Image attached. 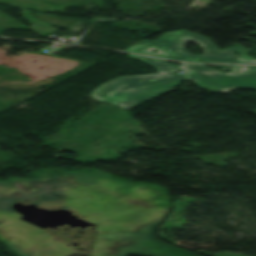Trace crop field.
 <instances>
[{
    "label": "crop field",
    "mask_w": 256,
    "mask_h": 256,
    "mask_svg": "<svg viewBox=\"0 0 256 256\" xmlns=\"http://www.w3.org/2000/svg\"><path fill=\"white\" fill-rule=\"evenodd\" d=\"M129 57L138 58L152 65L158 72L114 78L93 90L90 93L93 98L129 109L173 89L185 79L174 72L179 67L165 63L166 60L132 54H129Z\"/></svg>",
    "instance_id": "obj_1"
},
{
    "label": "crop field",
    "mask_w": 256,
    "mask_h": 256,
    "mask_svg": "<svg viewBox=\"0 0 256 256\" xmlns=\"http://www.w3.org/2000/svg\"><path fill=\"white\" fill-rule=\"evenodd\" d=\"M188 41L199 44L203 50L202 55L188 53L184 48ZM152 49L158 50L156 54L151 52ZM233 50H237L240 56H235L232 52ZM246 50L248 51L245 52V49L240 47H229L218 51V47L213 45L210 39L189 31L165 33L156 42L145 40L140 44L125 49V51L134 53L139 52L150 56L188 62L256 63L254 58L247 55L250 50Z\"/></svg>",
    "instance_id": "obj_2"
},
{
    "label": "crop field",
    "mask_w": 256,
    "mask_h": 256,
    "mask_svg": "<svg viewBox=\"0 0 256 256\" xmlns=\"http://www.w3.org/2000/svg\"><path fill=\"white\" fill-rule=\"evenodd\" d=\"M180 70L186 72V79L213 93H229L237 88L256 90V66L236 65L231 73H221L205 65L185 64Z\"/></svg>",
    "instance_id": "obj_3"
}]
</instances>
